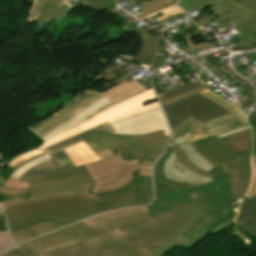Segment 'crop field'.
<instances>
[{
  "label": "crop field",
  "mask_w": 256,
  "mask_h": 256,
  "mask_svg": "<svg viewBox=\"0 0 256 256\" xmlns=\"http://www.w3.org/2000/svg\"><path fill=\"white\" fill-rule=\"evenodd\" d=\"M30 193L9 195L0 192L7 221L60 210L76 209L97 199L88 195L93 182L83 166L58 171L29 182Z\"/></svg>",
  "instance_id": "8a807250"
},
{
  "label": "crop field",
  "mask_w": 256,
  "mask_h": 256,
  "mask_svg": "<svg viewBox=\"0 0 256 256\" xmlns=\"http://www.w3.org/2000/svg\"><path fill=\"white\" fill-rule=\"evenodd\" d=\"M173 151L169 149L158 161L155 169V191L157 200L147 206L135 209L120 210L105 213L85 220L91 226L106 220H115L137 214L149 212L152 219L172 209L194 201L196 207L208 214L220 217L224 212L233 208L229 202L233 201L229 181L221 167L212 171L216 182L196 187L181 189L170 183L162 175V165L165 158ZM162 184H158L157 182Z\"/></svg>",
  "instance_id": "ac0d7876"
},
{
  "label": "crop field",
  "mask_w": 256,
  "mask_h": 256,
  "mask_svg": "<svg viewBox=\"0 0 256 256\" xmlns=\"http://www.w3.org/2000/svg\"><path fill=\"white\" fill-rule=\"evenodd\" d=\"M194 203L187 204L152 221L120 227L122 236L89 245H72L43 256H145L166 239L194 211ZM2 256H35L18 247Z\"/></svg>",
  "instance_id": "34b2d1b8"
},
{
  "label": "crop field",
  "mask_w": 256,
  "mask_h": 256,
  "mask_svg": "<svg viewBox=\"0 0 256 256\" xmlns=\"http://www.w3.org/2000/svg\"><path fill=\"white\" fill-rule=\"evenodd\" d=\"M138 162L149 165L154 163L142 159L123 161V154H121L84 166L94 182L89 194L101 197L129 189L137 178Z\"/></svg>",
  "instance_id": "412701ff"
},
{
  "label": "crop field",
  "mask_w": 256,
  "mask_h": 256,
  "mask_svg": "<svg viewBox=\"0 0 256 256\" xmlns=\"http://www.w3.org/2000/svg\"><path fill=\"white\" fill-rule=\"evenodd\" d=\"M139 181H140V177L137 178L136 183L126 192L113 195V196L102 197L99 200L95 201L94 203L88 206L82 207L80 209L38 215V216L22 219L18 222L10 223L8 224V226L10 230H13L21 226H25L28 224H32V223H36L44 220H49V221L67 225L77 220L102 212L104 210L145 204L143 200L140 198V196L137 194V192L135 191L139 184Z\"/></svg>",
  "instance_id": "f4fd0767"
},
{
  "label": "crop field",
  "mask_w": 256,
  "mask_h": 256,
  "mask_svg": "<svg viewBox=\"0 0 256 256\" xmlns=\"http://www.w3.org/2000/svg\"><path fill=\"white\" fill-rule=\"evenodd\" d=\"M155 95L153 89L146 90L134 97H131L105 111H102L91 118L85 119L83 122L78 124L77 126L67 130L66 132L48 140L41 147V149L50 146L56 142H59L63 139L69 138L71 136L77 135L87 129H90L100 123L108 121L109 123L115 122L121 119H125L131 116L138 115L145 111L151 110L153 108L158 107V103H152L146 106H142L141 104L148 102L150 100L155 99Z\"/></svg>",
  "instance_id": "dd49c442"
},
{
  "label": "crop field",
  "mask_w": 256,
  "mask_h": 256,
  "mask_svg": "<svg viewBox=\"0 0 256 256\" xmlns=\"http://www.w3.org/2000/svg\"><path fill=\"white\" fill-rule=\"evenodd\" d=\"M217 219L197 210L147 256H163L175 246L190 249L209 234L204 231Z\"/></svg>",
  "instance_id": "e52e79f7"
},
{
  "label": "crop field",
  "mask_w": 256,
  "mask_h": 256,
  "mask_svg": "<svg viewBox=\"0 0 256 256\" xmlns=\"http://www.w3.org/2000/svg\"><path fill=\"white\" fill-rule=\"evenodd\" d=\"M214 13L203 20L199 25L206 26L212 21H221L219 24H229L231 22L237 24L231 28L239 34L232 39L242 42L253 30L256 31V25L246 21L245 19L256 13V0H245L237 4L224 0L219 4L210 7Z\"/></svg>",
  "instance_id": "d8731c3e"
},
{
  "label": "crop field",
  "mask_w": 256,
  "mask_h": 256,
  "mask_svg": "<svg viewBox=\"0 0 256 256\" xmlns=\"http://www.w3.org/2000/svg\"><path fill=\"white\" fill-rule=\"evenodd\" d=\"M163 108L171 127H174L190 115L205 123L211 119L231 113L199 93L166 105Z\"/></svg>",
  "instance_id": "5a996713"
},
{
  "label": "crop field",
  "mask_w": 256,
  "mask_h": 256,
  "mask_svg": "<svg viewBox=\"0 0 256 256\" xmlns=\"http://www.w3.org/2000/svg\"><path fill=\"white\" fill-rule=\"evenodd\" d=\"M104 97L101 93L90 90L72 103L57 111L42 122L30 127L41 137L75 120L73 117Z\"/></svg>",
  "instance_id": "3316defc"
},
{
  "label": "crop field",
  "mask_w": 256,
  "mask_h": 256,
  "mask_svg": "<svg viewBox=\"0 0 256 256\" xmlns=\"http://www.w3.org/2000/svg\"><path fill=\"white\" fill-rule=\"evenodd\" d=\"M118 134H147L163 129L166 136L169 134L168 125L160 107L135 117L111 123Z\"/></svg>",
  "instance_id": "28ad6ade"
},
{
  "label": "crop field",
  "mask_w": 256,
  "mask_h": 256,
  "mask_svg": "<svg viewBox=\"0 0 256 256\" xmlns=\"http://www.w3.org/2000/svg\"><path fill=\"white\" fill-rule=\"evenodd\" d=\"M111 132H114L113 128L110 126L108 122L100 124L90 130H87L77 136L71 137L69 139L63 140L59 143H56L50 147H47L43 150L47 151L50 155L65 149L71 145H74L80 141H83L86 145H88L95 153L96 155L102 159L109 156H113V154L103 145L97 143L94 141V139L99 138L103 135L110 136V137H117V138H123L128 139L134 138V136H128V135H118V134H109Z\"/></svg>",
  "instance_id": "d1516ede"
},
{
  "label": "crop field",
  "mask_w": 256,
  "mask_h": 256,
  "mask_svg": "<svg viewBox=\"0 0 256 256\" xmlns=\"http://www.w3.org/2000/svg\"><path fill=\"white\" fill-rule=\"evenodd\" d=\"M121 143L129 144L131 157L156 161L166 149L170 136L165 137L163 131H157L147 135L135 136V139L123 140L110 137H102Z\"/></svg>",
  "instance_id": "22f410ed"
},
{
  "label": "crop field",
  "mask_w": 256,
  "mask_h": 256,
  "mask_svg": "<svg viewBox=\"0 0 256 256\" xmlns=\"http://www.w3.org/2000/svg\"><path fill=\"white\" fill-rule=\"evenodd\" d=\"M163 175L170 182L181 188L196 186L215 181L214 178L203 177L184 167L172 152L164 162Z\"/></svg>",
  "instance_id": "cbeb9de0"
},
{
  "label": "crop field",
  "mask_w": 256,
  "mask_h": 256,
  "mask_svg": "<svg viewBox=\"0 0 256 256\" xmlns=\"http://www.w3.org/2000/svg\"><path fill=\"white\" fill-rule=\"evenodd\" d=\"M250 159L243 158L221 166L230 181L234 200L246 195L250 186Z\"/></svg>",
  "instance_id": "5142ce71"
},
{
  "label": "crop field",
  "mask_w": 256,
  "mask_h": 256,
  "mask_svg": "<svg viewBox=\"0 0 256 256\" xmlns=\"http://www.w3.org/2000/svg\"><path fill=\"white\" fill-rule=\"evenodd\" d=\"M192 147L215 167L238 159L216 136L191 143Z\"/></svg>",
  "instance_id": "d9b57169"
},
{
  "label": "crop field",
  "mask_w": 256,
  "mask_h": 256,
  "mask_svg": "<svg viewBox=\"0 0 256 256\" xmlns=\"http://www.w3.org/2000/svg\"><path fill=\"white\" fill-rule=\"evenodd\" d=\"M146 220H151V217L149 215V213L146 214H142V215H137V216H133V217H128V218H124V219H119V220H115V221H106L91 227H87L85 229L79 230L77 232H74V235L77 237L78 240L116 228V227H120V226H124V225H128L131 223H135V222H139V221H146ZM75 240V241H69V242H64V243H60L54 246H50L47 247L39 252L34 253L36 256H41L45 253H48L50 251H53L55 249L64 247V246H68V245H72V244H78L79 241Z\"/></svg>",
  "instance_id": "733c2abd"
},
{
  "label": "crop field",
  "mask_w": 256,
  "mask_h": 256,
  "mask_svg": "<svg viewBox=\"0 0 256 256\" xmlns=\"http://www.w3.org/2000/svg\"><path fill=\"white\" fill-rule=\"evenodd\" d=\"M246 123L247 122L244 116H242L241 112L239 111L234 114L223 116L214 121H210L183 136L186 142H189V141L207 137V136H210L236 126L246 124Z\"/></svg>",
  "instance_id": "4a817a6b"
},
{
  "label": "crop field",
  "mask_w": 256,
  "mask_h": 256,
  "mask_svg": "<svg viewBox=\"0 0 256 256\" xmlns=\"http://www.w3.org/2000/svg\"><path fill=\"white\" fill-rule=\"evenodd\" d=\"M84 227H87V225L84 221H82L80 223H77L70 227L50 233L43 237L35 238L31 241H28V242L22 244L20 247L34 253V252L39 251L47 246L76 239V237L73 235L72 232L82 229Z\"/></svg>",
  "instance_id": "bc2a9ffb"
},
{
  "label": "crop field",
  "mask_w": 256,
  "mask_h": 256,
  "mask_svg": "<svg viewBox=\"0 0 256 256\" xmlns=\"http://www.w3.org/2000/svg\"><path fill=\"white\" fill-rule=\"evenodd\" d=\"M146 88L143 87L140 83H138L136 80L132 81V82H127L124 81L114 87H111L103 92H101L102 94L105 95V97L109 98L110 100H112L113 102L110 103L109 105H107L106 107H104L103 109H101L100 111L130 97L133 96L143 90H145ZM99 111V112H100ZM98 113V112H97Z\"/></svg>",
  "instance_id": "214f88e0"
},
{
  "label": "crop field",
  "mask_w": 256,
  "mask_h": 256,
  "mask_svg": "<svg viewBox=\"0 0 256 256\" xmlns=\"http://www.w3.org/2000/svg\"><path fill=\"white\" fill-rule=\"evenodd\" d=\"M60 224H56L53 222L45 221V222H40L32 225H28L22 228H18L14 231H12V235L14 238V241L16 244H19L29 238H32L34 236H37L39 234L45 233L47 231H50L52 229L58 228Z\"/></svg>",
  "instance_id": "92a150f3"
},
{
  "label": "crop field",
  "mask_w": 256,
  "mask_h": 256,
  "mask_svg": "<svg viewBox=\"0 0 256 256\" xmlns=\"http://www.w3.org/2000/svg\"><path fill=\"white\" fill-rule=\"evenodd\" d=\"M69 9L70 7L64 6V0H48L39 15L37 29L51 24Z\"/></svg>",
  "instance_id": "dafd665d"
},
{
  "label": "crop field",
  "mask_w": 256,
  "mask_h": 256,
  "mask_svg": "<svg viewBox=\"0 0 256 256\" xmlns=\"http://www.w3.org/2000/svg\"><path fill=\"white\" fill-rule=\"evenodd\" d=\"M65 151L77 166L86 165L99 160L95 153L83 142L71 146L65 149Z\"/></svg>",
  "instance_id": "00972430"
},
{
  "label": "crop field",
  "mask_w": 256,
  "mask_h": 256,
  "mask_svg": "<svg viewBox=\"0 0 256 256\" xmlns=\"http://www.w3.org/2000/svg\"><path fill=\"white\" fill-rule=\"evenodd\" d=\"M110 101L107 98H102L101 100H99L98 102H96L95 104H93L92 106H90L88 109H86L85 111H83L82 113H80L79 115H77L76 117H74L76 120L44 137H42L45 141L64 132L65 130L77 125L78 123H80L82 120H84L85 118H87L88 116L96 113L97 111H99L101 108H103L104 106H106L107 104H109Z\"/></svg>",
  "instance_id": "a9b5d70f"
},
{
  "label": "crop field",
  "mask_w": 256,
  "mask_h": 256,
  "mask_svg": "<svg viewBox=\"0 0 256 256\" xmlns=\"http://www.w3.org/2000/svg\"><path fill=\"white\" fill-rule=\"evenodd\" d=\"M0 191L10 194H23L29 192L28 182L0 176Z\"/></svg>",
  "instance_id": "4177f3b9"
},
{
  "label": "crop field",
  "mask_w": 256,
  "mask_h": 256,
  "mask_svg": "<svg viewBox=\"0 0 256 256\" xmlns=\"http://www.w3.org/2000/svg\"><path fill=\"white\" fill-rule=\"evenodd\" d=\"M138 34H145L147 42H142L138 57L152 60L158 48L157 39L145 28L136 31Z\"/></svg>",
  "instance_id": "730fd06b"
},
{
  "label": "crop field",
  "mask_w": 256,
  "mask_h": 256,
  "mask_svg": "<svg viewBox=\"0 0 256 256\" xmlns=\"http://www.w3.org/2000/svg\"><path fill=\"white\" fill-rule=\"evenodd\" d=\"M182 152L185 154V156L188 158V160L194 164L196 167L206 171L210 172L214 166H212L210 163H208L206 160H204L190 145V143L185 145H179Z\"/></svg>",
  "instance_id": "eef30255"
},
{
  "label": "crop field",
  "mask_w": 256,
  "mask_h": 256,
  "mask_svg": "<svg viewBox=\"0 0 256 256\" xmlns=\"http://www.w3.org/2000/svg\"><path fill=\"white\" fill-rule=\"evenodd\" d=\"M55 171H58V168L56 164L52 160H50L48 162H45L43 164H40L38 166L31 168L18 179L30 181L34 178H37Z\"/></svg>",
  "instance_id": "ae1a2a85"
},
{
  "label": "crop field",
  "mask_w": 256,
  "mask_h": 256,
  "mask_svg": "<svg viewBox=\"0 0 256 256\" xmlns=\"http://www.w3.org/2000/svg\"><path fill=\"white\" fill-rule=\"evenodd\" d=\"M236 213L232 211H227L224 213L206 232H209L213 235L220 233L228 225L232 224L236 218Z\"/></svg>",
  "instance_id": "d3111659"
},
{
  "label": "crop field",
  "mask_w": 256,
  "mask_h": 256,
  "mask_svg": "<svg viewBox=\"0 0 256 256\" xmlns=\"http://www.w3.org/2000/svg\"><path fill=\"white\" fill-rule=\"evenodd\" d=\"M256 224V207L246 211L245 213L237 216L234 225L241 228L242 230H247Z\"/></svg>",
  "instance_id": "750c4746"
},
{
  "label": "crop field",
  "mask_w": 256,
  "mask_h": 256,
  "mask_svg": "<svg viewBox=\"0 0 256 256\" xmlns=\"http://www.w3.org/2000/svg\"><path fill=\"white\" fill-rule=\"evenodd\" d=\"M201 124H203V123L199 122L195 118H193L191 116L188 117L183 122H181L180 124H178L177 126L172 128L173 139L191 131L192 129L200 126Z\"/></svg>",
  "instance_id": "bd1437ed"
},
{
  "label": "crop field",
  "mask_w": 256,
  "mask_h": 256,
  "mask_svg": "<svg viewBox=\"0 0 256 256\" xmlns=\"http://www.w3.org/2000/svg\"><path fill=\"white\" fill-rule=\"evenodd\" d=\"M203 82H205V81L203 79H201V80H198V81H195V82H192V83H189V84H186V85H183V86H180V87H177V88L165 91V92H162V93L158 94V96H159L160 100L162 101L164 99L170 98L172 96L178 95L185 91L191 90V89L199 87L201 85H204Z\"/></svg>",
  "instance_id": "1d83c4d3"
},
{
  "label": "crop field",
  "mask_w": 256,
  "mask_h": 256,
  "mask_svg": "<svg viewBox=\"0 0 256 256\" xmlns=\"http://www.w3.org/2000/svg\"><path fill=\"white\" fill-rule=\"evenodd\" d=\"M221 0H188L180 2L179 6L182 7L186 12L196 9L201 11L202 9L209 7Z\"/></svg>",
  "instance_id": "120bbe31"
},
{
  "label": "crop field",
  "mask_w": 256,
  "mask_h": 256,
  "mask_svg": "<svg viewBox=\"0 0 256 256\" xmlns=\"http://www.w3.org/2000/svg\"><path fill=\"white\" fill-rule=\"evenodd\" d=\"M122 235L118 228L80 240V243L84 246L93 244L99 241L107 240L116 236Z\"/></svg>",
  "instance_id": "d32e631a"
},
{
  "label": "crop field",
  "mask_w": 256,
  "mask_h": 256,
  "mask_svg": "<svg viewBox=\"0 0 256 256\" xmlns=\"http://www.w3.org/2000/svg\"><path fill=\"white\" fill-rule=\"evenodd\" d=\"M136 191L144 202L148 203L152 199L151 177H141L140 185Z\"/></svg>",
  "instance_id": "5866460e"
},
{
  "label": "crop field",
  "mask_w": 256,
  "mask_h": 256,
  "mask_svg": "<svg viewBox=\"0 0 256 256\" xmlns=\"http://www.w3.org/2000/svg\"><path fill=\"white\" fill-rule=\"evenodd\" d=\"M52 158V160L57 164L59 170L75 166L64 150L52 155Z\"/></svg>",
  "instance_id": "028f5c9d"
},
{
  "label": "crop field",
  "mask_w": 256,
  "mask_h": 256,
  "mask_svg": "<svg viewBox=\"0 0 256 256\" xmlns=\"http://www.w3.org/2000/svg\"><path fill=\"white\" fill-rule=\"evenodd\" d=\"M235 153L250 149L252 147V137H247L229 144H226Z\"/></svg>",
  "instance_id": "e1f06a70"
},
{
  "label": "crop field",
  "mask_w": 256,
  "mask_h": 256,
  "mask_svg": "<svg viewBox=\"0 0 256 256\" xmlns=\"http://www.w3.org/2000/svg\"><path fill=\"white\" fill-rule=\"evenodd\" d=\"M173 148H174V150H175V154H176L178 160H179L183 165H185L187 168H189L190 170H192V171H194V172H196V173H199V174H201V175L213 177L212 174L203 172V171L197 169L194 165H192V164L186 159V157L183 155V153L180 151L178 145L173 146Z\"/></svg>",
  "instance_id": "0bd39190"
},
{
  "label": "crop field",
  "mask_w": 256,
  "mask_h": 256,
  "mask_svg": "<svg viewBox=\"0 0 256 256\" xmlns=\"http://www.w3.org/2000/svg\"><path fill=\"white\" fill-rule=\"evenodd\" d=\"M50 160V157L48 155H45L41 158H38L30 163H27L25 165H23L22 167H20L18 170H16L15 172L12 173L11 177L17 179L18 177H20L24 172H26L29 168L38 165L40 163H43L45 161Z\"/></svg>",
  "instance_id": "b80d0937"
},
{
  "label": "crop field",
  "mask_w": 256,
  "mask_h": 256,
  "mask_svg": "<svg viewBox=\"0 0 256 256\" xmlns=\"http://www.w3.org/2000/svg\"><path fill=\"white\" fill-rule=\"evenodd\" d=\"M200 93L203 94L204 96L208 97L209 99L215 101L216 103L220 104L221 106L227 108L228 110H230L232 112L239 110V108H237L234 105L230 104L229 102L221 99L216 94H214L208 90L200 92Z\"/></svg>",
  "instance_id": "c035e120"
},
{
  "label": "crop field",
  "mask_w": 256,
  "mask_h": 256,
  "mask_svg": "<svg viewBox=\"0 0 256 256\" xmlns=\"http://www.w3.org/2000/svg\"><path fill=\"white\" fill-rule=\"evenodd\" d=\"M14 246L9 232H0V254L11 249Z\"/></svg>",
  "instance_id": "c21b1889"
},
{
  "label": "crop field",
  "mask_w": 256,
  "mask_h": 256,
  "mask_svg": "<svg viewBox=\"0 0 256 256\" xmlns=\"http://www.w3.org/2000/svg\"><path fill=\"white\" fill-rule=\"evenodd\" d=\"M208 88H209V87H207L206 85H204V86H202V87L196 88V89H194V90H191V91H188V92H186V93L180 94V95H178V96L172 97V98H170V99L164 100V101H162L161 103H162V105L164 106V105L169 104V103H171V102H174V101H176V100L183 99V98H187V97H189V96H191V95H193V94H195V93H197V92L206 90V89H208Z\"/></svg>",
  "instance_id": "03da06ac"
},
{
  "label": "crop field",
  "mask_w": 256,
  "mask_h": 256,
  "mask_svg": "<svg viewBox=\"0 0 256 256\" xmlns=\"http://www.w3.org/2000/svg\"><path fill=\"white\" fill-rule=\"evenodd\" d=\"M159 13L162 16L156 18L157 22H159V21H161V20H163L165 18L171 17V16H173L175 14H179V13H183V12L175 4V5L171 6V7H168L166 9H164V10L159 11Z\"/></svg>",
  "instance_id": "b54c1fbb"
},
{
  "label": "crop field",
  "mask_w": 256,
  "mask_h": 256,
  "mask_svg": "<svg viewBox=\"0 0 256 256\" xmlns=\"http://www.w3.org/2000/svg\"><path fill=\"white\" fill-rule=\"evenodd\" d=\"M183 37H184V40H185V42H186V44H187V46H188V47H186L185 49L190 48L191 51H194V50H198V49H201V48H205V47L211 46L210 41L193 45L192 42H191V40H190L192 37L190 36L189 33L183 35Z\"/></svg>",
  "instance_id": "5d738f31"
},
{
  "label": "crop field",
  "mask_w": 256,
  "mask_h": 256,
  "mask_svg": "<svg viewBox=\"0 0 256 256\" xmlns=\"http://www.w3.org/2000/svg\"><path fill=\"white\" fill-rule=\"evenodd\" d=\"M46 0H35L30 15L26 23L33 22L36 20L37 14L42 8Z\"/></svg>",
  "instance_id": "d23c7cc5"
},
{
  "label": "crop field",
  "mask_w": 256,
  "mask_h": 256,
  "mask_svg": "<svg viewBox=\"0 0 256 256\" xmlns=\"http://www.w3.org/2000/svg\"><path fill=\"white\" fill-rule=\"evenodd\" d=\"M42 152H44V151H41V150H33V151H31V152H28V153H26V154L21 155V156L18 157L17 159L11 161L8 165L14 167V166L17 165L19 162H21V161H23V160H25V159H27V158H29V157H32V156H34V155H37V154H39V153H42Z\"/></svg>",
  "instance_id": "425ffa30"
},
{
  "label": "crop field",
  "mask_w": 256,
  "mask_h": 256,
  "mask_svg": "<svg viewBox=\"0 0 256 256\" xmlns=\"http://www.w3.org/2000/svg\"><path fill=\"white\" fill-rule=\"evenodd\" d=\"M168 0H147V1H143V2H138L137 4L144 10H148L156 5H159L161 3H164Z\"/></svg>",
  "instance_id": "25e5ab78"
},
{
  "label": "crop field",
  "mask_w": 256,
  "mask_h": 256,
  "mask_svg": "<svg viewBox=\"0 0 256 256\" xmlns=\"http://www.w3.org/2000/svg\"><path fill=\"white\" fill-rule=\"evenodd\" d=\"M252 167H253V182L246 196L247 199L256 195V161L252 162Z\"/></svg>",
  "instance_id": "73cf0c24"
},
{
  "label": "crop field",
  "mask_w": 256,
  "mask_h": 256,
  "mask_svg": "<svg viewBox=\"0 0 256 256\" xmlns=\"http://www.w3.org/2000/svg\"><path fill=\"white\" fill-rule=\"evenodd\" d=\"M255 205H256V196L242 202L240 209H239V214L245 212L246 210L250 209L251 207H253Z\"/></svg>",
  "instance_id": "89e229c0"
},
{
  "label": "crop field",
  "mask_w": 256,
  "mask_h": 256,
  "mask_svg": "<svg viewBox=\"0 0 256 256\" xmlns=\"http://www.w3.org/2000/svg\"><path fill=\"white\" fill-rule=\"evenodd\" d=\"M167 57H168V54H166L164 57L156 55L152 63L151 71L161 67V65L163 64V62L166 60Z\"/></svg>",
  "instance_id": "1f2cbd36"
},
{
  "label": "crop field",
  "mask_w": 256,
  "mask_h": 256,
  "mask_svg": "<svg viewBox=\"0 0 256 256\" xmlns=\"http://www.w3.org/2000/svg\"><path fill=\"white\" fill-rule=\"evenodd\" d=\"M139 167H140L139 176H151L152 166L143 165L139 163Z\"/></svg>",
  "instance_id": "dbb93151"
},
{
  "label": "crop field",
  "mask_w": 256,
  "mask_h": 256,
  "mask_svg": "<svg viewBox=\"0 0 256 256\" xmlns=\"http://www.w3.org/2000/svg\"><path fill=\"white\" fill-rule=\"evenodd\" d=\"M254 42H256V38L250 34L241 44H239L237 46L239 49H242V48H244L243 46L251 45ZM244 50H245V48H244Z\"/></svg>",
  "instance_id": "0fb4a251"
},
{
  "label": "crop field",
  "mask_w": 256,
  "mask_h": 256,
  "mask_svg": "<svg viewBox=\"0 0 256 256\" xmlns=\"http://www.w3.org/2000/svg\"><path fill=\"white\" fill-rule=\"evenodd\" d=\"M247 120L250 126L256 131V112L250 113Z\"/></svg>",
  "instance_id": "1d79db26"
},
{
  "label": "crop field",
  "mask_w": 256,
  "mask_h": 256,
  "mask_svg": "<svg viewBox=\"0 0 256 256\" xmlns=\"http://www.w3.org/2000/svg\"><path fill=\"white\" fill-rule=\"evenodd\" d=\"M44 154H46V152H44V153H42V154H39V155H37V156H34V157H32V158H29V159L23 161L22 163L18 164L16 167H14L13 170H12V172H13L14 170H16L17 168H19L21 165H23V164H25V163H27V162H29V161H32V160H34V159H36V158H38V157H40V156H42V155H44ZM12 172H11V173H12ZM11 173H10V174H11Z\"/></svg>",
  "instance_id": "9d1cf04e"
},
{
  "label": "crop field",
  "mask_w": 256,
  "mask_h": 256,
  "mask_svg": "<svg viewBox=\"0 0 256 256\" xmlns=\"http://www.w3.org/2000/svg\"><path fill=\"white\" fill-rule=\"evenodd\" d=\"M8 230L6 227V221H5V216L4 213L0 216V231H6Z\"/></svg>",
  "instance_id": "447ae74e"
},
{
  "label": "crop field",
  "mask_w": 256,
  "mask_h": 256,
  "mask_svg": "<svg viewBox=\"0 0 256 256\" xmlns=\"http://www.w3.org/2000/svg\"><path fill=\"white\" fill-rule=\"evenodd\" d=\"M246 129H249V126L244 127V128H240V129H237V130H234V131H230V132H227V133H224V134L217 135V137L220 138V137L227 136V135H230V134H233V133H236V132H239V131H243V130H246Z\"/></svg>",
  "instance_id": "0765c3eb"
},
{
  "label": "crop field",
  "mask_w": 256,
  "mask_h": 256,
  "mask_svg": "<svg viewBox=\"0 0 256 256\" xmlns=\"http://www.w3.org/2000/svg\"><path fill=\"white\" fill-rule=\"evenodd\" d=\"M173 143L174 144H177V143H186L183 136L179 137V138H176L173 140Z\"/></svg>",
  "instance_id": "db79e9e6"
},
{
  "label": "crop field",
  "mask_w": 256,
  "mask_h": 256,
  "mask_svg": "<svg viewBox=\"0 0 256 256\" xmlns=\"http://www.w3.org/2000/svg\"><path fill=\"white\" fill-rule=\"evenodd\" d=\"M140 80H141V79H139V80H137V81L141 82ZM142 85L145 86L147 89H149V88L152 87L151 84H150V80H147V82L143 83Z\"/></svg>",
  "instance_id": "7b73153f"
},
{
  "label": "crop field",
  "mask_w": 256,
  "mask_h": 256,
  "mask_svg": "<svg viewBox=\"0 0 256 256\" xmlns=\"http://www.w3.org/2000/svg\"><path fill=\"white\" fill-rule=\"evenodd\" d=\"M254 14H255V13H254ZM246 20H248V21H250V22L256 24V14L253 15V16H251L250 18H248V19H246Z\"/></svg>",
  "instance_id": "78b8030e"
},
{
  "label": "crop field",
  "mask_w": 256,
  "mask_h": 256,
  "mask_svg": "<svg viewBox=\"0 0 256 256\" xmlns=\"http://www.w3.org/2000/svg\"><path fill=\"white\" fill-rule=\"evenodd\" d=\"M256 155V139L253 140V156Z\"/></svg>",
  "instance_id": "0f1d7ab4"
},
{
  "label": "crop field",
  "mask_w": 256,
  "mask_h": 256,
  "mask_svg": "<svg viewBox=\"0 0 256 256\" xmlns=\"http://www.w3.org/2000/svg\"><path fill=\"white\" fill-rule=\"evenodd\" d=\"M11 170H12V167L8 166V168L6 169L4 175H5V176H9V173L11 172Z\"/></svg>",
  "instance_id": "e1d0b9f6"
},
{
  "label": "crop field",
  "mask_w": 256,
  "mask_h": 256,
  "mask_svg": "<svg viewBox=\"0 0 256 256\" xmlns=\"http://www.w3.org/2000/svg\"><path fill=\"white\" fill-rule=\"evenodd\" d=\"M115 3H118V2H122V1H126V0H114Z\"/></svg>",
  "instance_id": "ae633e8c"
},
{
  "label": "crop field",
  "mask_w": 256,
  "mask_h": 256,
  "mask_svg": "<svg viewBox=\"0 0 256 256\" xmlns=\"http://www.w3.org/2000/svg\"><path fill=\"white\" fill-rule=\"evenodd\" d=\"M252 228H253V230H254V231H255V233H256V225H255V226H253Z\"/></svg>",
  "instance_id": "d14b1444"
},
{
  "label": "crop field",
  "mask_w": 256,
  "mask_h": 256,
  "mask_svg": "<svg viewBox=\"0 0 256 256\" xmlns=\"http://www.w3.org/2000/svg\"><path fill=\"white\" fill-rule=\"evenodd\" d=\"M253 160H256V156L253 157L252 161H253Z\"/></svg>",
  "instance_id": "c39391a2"
},
{
  "label": "crop field",
  "mask_w": 256,
  "mask_h": 256,
  "mask_svg": "<svg viewBox=\"0 0 256 256\" xmlns=\"http://www.w3.org/2000/svg\"><path fill=\"white\" fill-rule=\"evenodd\" d=\"M3 212L1 211V209H0V215L2 214Z\"/></svg>",
  "instance_id": "ade564c9"
},
{
  "label": "crop field",
  "mask_w": 256,
  "mask_h": 256,
  "mask_svg": "<svg viewBox=\"0 0 256 256\" xmlns=\"http://www.w3.org/2000/svg\"><path fill=\"white\" fill-rule=\"evenodd\" d=\"M180 1H184V0H180ZM180 1H179V2H180Z\"/></svg>",
  "instance_id": "c5b07064"
}]
</instances>
